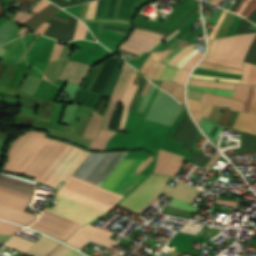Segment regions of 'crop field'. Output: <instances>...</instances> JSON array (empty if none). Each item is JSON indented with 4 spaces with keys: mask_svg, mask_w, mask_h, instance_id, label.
Returning <instances> with one entry per match:
<instances>
[{
    "mask_svg": "<svg viewBox=\"0 0 256 256\" xmlns=\"http://www.w3.org/2000/svg\"><path fill=\"white\" fill-rule=\"evenodd\" d=\"M45 135L31 131L19 136L8 148L3 168L32 174L38 181L56 188L62 178L72 175L89 151ZM126 153L91 152L73 176L100 185Z\"/></svg>",
    "mask_w": 256,
    "mask_h": 256,
    "instance_id": "crop-field-1",
    "label": "crop field"
},
{
    "mask_svg": "<svg viewBox=\"0 0 256 256\" xmlns=\"http://www.w3.org/2000/svg\"><path fill=\"white\" fill-rule=\"evenodd\" d=\"M34 182L0 174V217L29 225L36 216L23 212L34 192Z\"/></svg>",
    "mask_w": 256,
    "mask_h": 256,
    "instance_id": "crop-field-2",
    "label": "crop field"
},
{
    "mask_svg": "<svg viewBox=\"0 0 256 256\" xmlns=\"http://www.w3.org/2000/svg\"><path fill=\"white\" fill-rule=\"evenodd\" d=\"M59 195L88 205L103 212L112 209L123 196L84 181L70 177Z\"/></svg>",
    "mask_w": 256,
    "mask_h": 256,
    "instance_id": "crop-field-3",
    "label": "crop field"
},
{
    "mask_svg": "<svg viewBox=\"0 0 256 256\" xmlns=\"http://www.w3.org/2000/svg\"><path fill=\"white\" fill-rule=\"evenodd\" d=\"M122 62L123 61L117 57L107 60L91 91H83L85 90L96 67L92 68L81 86V89L83 90L80 89L79 94L77 93L78 95L73 102L93 109L101 94H109Z\"/></svg>",
    "mask_w": 256,
    "mask_h": 256,
    "instance_id": "crop-field-4",
    "label": "crop field"
},
{
    "mask_svg": "<svg viewBox=\"0 0 256 256\" xmlns=\"http://www.w3.org/2000/svg\"><path fill=\"white\" fill-rule=\"evenodd\" d=\"M255 35L256 33L221 38L212 56H205L203 60L242 68L243 60Z\"/></svg>",
    "mask_w": 256,
    "mask_h": 256,
    "instance_id": "crop-field-5",
    "label": "crop field"
},
{
    "mask_svg": "<svg viewBox=\"0 0 256 256\" xmlns=\"http://www.w3.org/2000/svg\"><path fill=\"white\" fill-rule=\"evenodd\" d=\"M166 180L167 177L165 176L150 175L138 188L134 189L119 203V205L140 214L159 197Z\"/></svg>",
    "mask_w": 256,
    "mask_h": 256,
    "instance_id": "crop-field-6",
    "label": "crop field"
},
{
    "mask_svg": "<svg viewBox=\"0 0 256 256\" xmlns=\"http://www.w3.org/2000/svg\"><path fill=\"white\" fill-rule=\"evenodd\" d=\"M141 158H123L101 187L123 195L144 175L133 174L145 161Z\"/></svg>",
    "mask_w": 256,
    "mask_h": 256,
    "instance_id": "crop-field-7",
    "label": "crop field"
},
{
    "mask_svg": "<svg viewBox=\"0 0 256 256\" xmlns=\"http://www.w3.org/2000/svg\"><path fill=\"white\" fill-rule=\"evenodd\" d=\"M81 226L83 225L56 215L47 210L40 216L38 220H36L31 225V227L37 230L48 233L64 241Z\"/></svg>",
    "mask_w": 256,
    "mask_h": 256,
    "instance_id": "crop-field-8",
    "label": "crop field"
},
{
    "mask_svg": "<svg viewBox=\"0 0 256 256\" xmlns=\"http://www.w3.org/2000/svg\"><path fill=\"white\" fill-rule=\"evenodd\" d=\"M54 202L57 204L52 209L47 210L74 220L83 225L104 214L59 195H57Z\"/></svg>",
    "mask_w": 256,
    "mask_h": 256,
    "instance_id": "crop-field-9",
    "label": "crop field"
},
{
    "mask_svg": "<svg viewBox=\"0 0 256 256\" xmlns=\"http://www.w3.org/2000/svg\"><path fill=\"white\" fill-rule=\"evenodd\" d=\"M233 129L256 134V114L239 112V117ZM241 132L240 148L233 149V154L256 152V135Z\"/></svg>",
    "mask_w": 256,
    "mask_h": 256,
    "instance_id": "crop-field-10",
    "label": "crop field"
},
{
    "mask_svg": "<svg viewBox=\"0 0 256 256\" xmlns=\"http://www.w3.org/2000/svg\"><path fill=\"white\" fill-rule=\"evenodd\" d=\"M113 232L106 231L100 228L86 225L73 234L66 242L80 248L86 240H94L109 246H112L116 241L110 239Z\"/></svg>",
    "mask_w": 256,
    "mask_h": 256,
    "instance_id": "crop-field-11",
    "label": "crop field"
},
{
    "mask_svg": "<svg viewBox=\"0 0 256 256\" xmlns=\"http://www.w3.org/2000/svg\"><path fill=\"white\" fill-rule=\"evenodd\" d=\"M122 68H124V70L117 83L114 94L112 96V99L110 101V104L108 106V109L106 111V114L104 116V119L100 128H104V129L109 128L132 72L137 73L132 67H130L125 62L122 65Z\"/></svg>",
    "mask_w": 256,
    "mask_h": 256,
    "instance_id": "crop-field-12",
    "label": "crop field"
},
{
    "mask_svg": "<svg viewBox=\"0 0 256 256\" xmlns=\"http://www.w3.org/2000/svg\"><path fill=\"white\" fill-rule=\"evenodd\" d=\"M115 2H116V0H111V3H110V0H104L99 18H106L109 3H110V8H109L107 18H112L114 7H115ZM135 2H136V0H132V4H131V0H117L113 18L116 17V18L127 19L129 9H130V4H131V9H130L128 19L132 20L133 16H134V12H135V10L132 8H133ZM101 4H102V0H99V5H98V9H97L95 18H98V16H99Z\"/></svg>",
    "mask_w": 256,
    "mask_h": 256,
    "instance_id": "crop-field-13",
    "label": "crop field"
},
{
    "mask_svg": "<svg viewBox=\"0 0 256 256\" xmlns=\"http://www.w3.org/2000/svg\"><path fill=\"white\" fill-rule=\"evenodd\" d=\"M182 158L183 156L160 149L153 173L173 177L183 164L180 162Z\"/></svg>",
    "mask_w": 256,
    "mask_h": 256,
    "instance_id": "crop-field-14",
    "label": "crop field"
},
{
    "mask_svg": "<svg viewBox=\"0 0 256 256\" xmlns=\"http://www.w3.org/2000/svg\"><path fill=\"white\" fill-rule=\"evenodd\" d=\"M51 23L45 32V36H49L61 41H70L73 38L77 19L70 17L68 24L49 19L46 21Z\"/></svg>",
    "mask_w": 256,
    "mask_h": 256,
    "instance_id": "crop-field-15",
    "label": "crop field"
},
{
    "mask_svg": "<svg viewBox=\"0 0 256 256\" xmlns=\"http://www.w3.org/2000/svg\"><path fill=\"white\" fill-rule=\"evenodd\" d=\"M161 40L162 39L158 37L134 31L133 34L128 38V40L123 44V46L131 47L141 52H144L150 51L151 48L155 44L159 43Z\"/></svg>",
    "mask_w": 256,
    "mask_h": 256,
    "instance_id": "crop-field-16",
    "label": "crop field"
},
{
    "mask_svg": "<svg viewBox=\"0 0 256 256\" xmlns=\"http://www.w3.org/2000/svg\"><path fill=\"white\" fill-rule=\"evenodd\" d=\"M91 66L69 61L59 79L82 84Z\"/></svg>",
    "mask_w": 256,
    "mask_h": 256,
    "instance_id": "crop-field-17",
    "label": "crop field"
},
{
    "mask_svg": "<svg viewBox=\"0 0 256 256\" xmlns=\"http://www.w3.org/2000/svg\"><path fill=\"white\" fill-rule=\"evenodd\" d=\"M182 183L178 182L175 188L165 185L162 194L190 204L198 190Z\"/></svg>",
    "mask_w": 256,
    "mask_h": 256,
    "instance_id": "crop-field-18",
    "label": "crop field"
},
{
    "mask_svg": "<svg viewBox=\"0 0 256 256\" xmlns=\"http://www.w3.org/2000/svg\"><path fill=\"white\" fill-rule=\"evenodd\" d=\"M59 8H57L54 5H49L47 8H45L43 11H41L39 14H37L35 17H33L29 22H27L24 26L30 28L32 31H36V29L47 19L52 18L63 22H68L69 19L67 18H60L56 15Z\"/></svg>",
    "mask_w": 256,
    "mask_h": 256,
    "instance_id": "crop-field-19",
    "label": "crop field"
},
{
    "mask_svg": "<svg viewBox=\"0 0 256 256\" xmlns=\"http://www.w3.org/2000/svg\"><path fill=\"white\" fill-rule=\"evenodd\" d=\"M58 245H59L58 243L41 235L40 238L35 242V244L27 252V254L32 256H46Z\"/></svg>",
    "mask_w": 256,
    "mask_h": 256,
    "instance_id": "crop-field-20",
    "label": "crop field"
},
{
    "mask_svg": "<svg viewBox=\"0 0 256 256\" xmlns=\"http://www.w3.org/2000/svg\"><path fill=\"white\" fill-rule=\"evenodd\" d=\"M160 87L170 92L171 95L177 98L182 104H185L183 97V86L177 83L163 81Z\"/></svg>",
    "mask_w": 256,
    "mask_h": 256,
    "instance_id": "crop-field-21",
    "label": "crop field"
},
{
    "mask_svg": "<svg viewBox=\"0 0 256 256\" xmlns=\"http://www.w3.org/2000/svg\"><path fill=\"white\" fill-rule=\"evenodd\" d=\"M115 133L110 131L101 130L97 140H93L89 149L91 150H104L107 141Z\"/></svg>",
    "mask_w": 256,
    "mask_h": 256,
    "instance_id": "crop-field-22",
    "label": "crop field"
},
{
    "mask_svg": "<svg viewBox=\"0 0 256 256\" xmlns=\"http://www.w3.org/2000/svg\"><path fill=\"white\" fill-rule=\"evenodd\" d=\"M101 119L102 117L98 115L96 112H94L83 136L95 139L100 127Z\"/></svg>",
    "mask_w": 256,
    "mask_h": 256,
    "instance_id": "crop-field-23",
    "label": "crop field"
},
{
    "mask_svg": "<svg viewBox=\"0 0 256 256\" xmlns=\"http://www.w3.org/2000/svg\"><path fill=\"white\" fill-rule=\"evenodd\" d=\"M32 244L33 242L15 236L9 240L6 245L26 253Z\"/></svg>",
    "mask_w": 256,
    "mask_h": 256,
    "instance_id": "crop-field-24",
    "label": "crop field"
},
{
    "mask_svg": "<svg viewBox=\"0 0 256 256\" xmlns=\"http://www.w3.org/2000/svg\"><path fill=\"white\" fill-rule=\"evenodd\" d=\"M138 85H132L131 89H130V92H129V95L126 99V102H125V105H124V109H123V114H122V120H121V125H120V128L119 130L122 131L125 124H126V120H127V116H128V109L130 107V104H131V101L138 89Z\"/></svg>",
    "mask_w": 256,
    "mask_h": 256,
    "instance_id": "crop-field-25",
    "label": "crop field"
},
{
    "mask_svg": "<svg viewBox=\"0 0 256 256\" xmlns=\"http://www.w3.org/2000/svg\"><path fill=\"white\" fill-rule=\"evenodd\" d=\"M171 50H166L163 52H152L151 55L149 56V58L147 59V61L145 62V64L143 65V67L141 68L140 72H142L144 75L148 69V67L150 66V64L152 63L153 60L155 61H159L161 62V60L166 57L171 51Z\"/></svg>",
    "mask_w": 256,
    "mask_h": 256,
    "instance_id": "crop-field-26",
    "label": "crop field"
},
{
    "mask_svg": "<svg viewBox=\"0 0 256 256\" xmlns=\"http://www.w3.org/2000/svg\"><path fill=\"white\" fill-rule=\"evenodd\" d=\"M21 229V227L0 221V234H7L13 236Z\"/></svg>",
    "mask_w": 256,
    "mask_h": 256,
    "instance_id": "crop-field-27",
    "label": "crop field"
},
{
    "mask_svg": "<svg viewBox=\"0 0 256 256\" xmlns=\"http://www.w3.org/2000/svg\"><path fill=\"white\" fill-rule=\"evenodd\" d=\"M212 106L211 105H203V108L201 111L198 110H191V113L195 119V121L199 124L200 120L202 119L203 116L208 117L210 111H211Z\"/></svg>",
    "mask_w": 256,
    "mask_h": 256,
    "instance_id": "crop-field-28",
    "label": "crop field"
},
{
    "mask_svg": "<svg viewBox=\"0 0 256 256\" xmlns=\"http://www.w3.org/2000/svg\"><path fill=\"white\" fill-rule=\"evenodd\" d=\"M164 67H165V64L156 62L155 65L152 67V69L149 72L147 77H149L153 80H158V78H159L160 74L162 73Z\"/></svg>",
    "mask_w": 256,
    "mask_h": 256,
    "instance_id": "crop-field-29",
    "label": "crop field"
},
{
    "mask_svg": "<svg viewBox=\"0 0 256 256\" xmlns=\"http://www.w3.org/2000/svg\"><path fill=\"white\" fill-rule=\"evenodd\" d=\"M190 88H195V89H199V90H204L207 91L209 93L212 94H217V95H223V96H229L232 97L234 94V91H230V90H219V89H209V88H199V87H191L188 86Z\"/></svg>",
    "mask_w": 256,
    "mask_h": 256,
    "instance_id": "crop-field-30",
    "label": "crop field"
},
{
    "mask_svg": "<svg viewBox=\"0 0 256 256\" xmlns=\"http://www.w3.org/2000/svg\"><path fill=\"white\" fill-rule=\"evenodd\" d=\"M79 21L77 22L76 31H75V35H74L73 40L80 39V38L84 39L85 36H86L87 27Z\"/></svg>",
    "mask_w": 256,
    "mask_h": 256,
    "instance_id": "crop-field-31",
    "label": "crop field"
},
{
    "mask_svg": "<svg viewBox=\"0 0 256 256\" xmlns=\"http://www.w3.org/2000/svg\"><path fill=\"white\" fill-rule=\"evenodd\" d=\"M198 67L206 68V69H212V70H218L220 72L224 73H233V74H241L242 71L239 70H233V69H227V68H220V67H214L206 64L200 63Z\"/></svg>",
    "mask_w": 256,
    "mask_h": 256,
    "instance_id": "crop-field-32",
    "label": "crop field"
},
{
    "mask_svg": "<svg viewBox=\"0 0 256 256\" xmlns=\"http://www.w3.org/2000/svg\"><path fill=\"white\" fill-rule=\"evenodd\" d=\"M196 44L189 45L185 47L183 50H181L177 55H175L171 61L168 63V65L174 66V64L180 60L186 53H188Z\"/></svg>",
    "mask_w": 256,
    "mask_h": 256,
    "instance_id": "crop-field-33",
    "label": "crop field"
},
{
    "mask_svg": "<svg viewBox=\"0 0 256 256\" xmlns=\"http://www.w3.org/2000/svg\"><path fill=\"white\" fill-rule=\"evenodd\" d=\"M72 249L64 246V245H60L59 247H57L51 254H49L48 256H64L66 255L69 251H71Z\"/></svg>",
    "mask_w": 256,
    "mask_h": 256,
    "instance_id": "crop-field-34",
    "label": "crop field"
},
{
    "mask_svg": "<svg viewBox=\"0 0 256 256\" xmlns=\"http://www.w3.org/2000/svg\"><path fill=\"white\" fill-rule=\"evenodd\" d=\"M191 78L211 79V80H216V81L233 82V83H239V81H240V80H237V79H225V78H218V77H206V76L195 75V74H192Z\"/></svg>",
    "mask_w": 256,
    "mask_h": 256,
    "instance_id": "crop-field-35",
    "label": "crop field"
},
{
    "mask_svg": "<svg viewBox=\"0 0 256 256\" xmlns=\"http://www.w3.org/2000/svg\"><path fill=\"white\" fill-rule=\"evenodd\" d=\"M170 204H173V205H175V206L181 207V208H183V209H186V210H189V211H192V212H195V213H196V211L198 210V208H196V207H194V206H192V205H188V204H186V203L180 202V201L175 200V199H173V200L170 202Z\"/></svg>",
    "mask_w": 256,
    "mask_h": 256,
    "instance_id": "crop-field-36",
    "label": "crop field"
},
{
    "mask_svg": "<svg viewBox=\"0 0 256 256\" xmlns=\"http://www.w3.org/2000/svg\"><path fill=\"white\" fill-rule=\"evenodd\" d=\"M202 56V53L197 52L183 67L182 69L190 71L198 59ZM200 60V59H199Z\"/></svg>",
    "mask_w": 256,
    "mask_h": 256,
    "instance_id": "crop-field-37",
    "label": "crop field"
},
{
    "mask_svg": "<svg viewBox=\"0 0 256 256\" xmlns=\"http://www.w3.org/2000/svg\"><path fill=\"white\" fill-rule=\"evenodd\" d=\"M31 17V15L21 12L18 10V13L13 18L14 21L19 22L23 24L26 20H28Z\"/></svg>",
    "mask_w": 256,
    "mask_h": 256,
    "instance_id": "crop-field-38",
    "label": "crop field"
},
{
    "mask_svg": "<svg viewBox=\"0 0 256 256\" xmlns=\"http://www.w3.org/2000/svg\"><path fill=\"white\" fill-rule=\"evenodd\" d=\"M251 23L247 22L246 20L242 19V22L236 32V34H244V33H248V32H254L251 30H248L249 26Z\"/></svg>",
    "mask_w": 256,
    "mask_h": 256,
    "instance_id": "crop-field-39",
    "label": "crop field"
},
{
    "mask_svg": "<svg viewBox=\"0 0 256 256\" xmlns=\"http://www.w3.org/2000/svg\"><path fill=\"white\" fill-rule=\"evenodd\" d=\"M232 112L233 111L228 110V108H225V110H224V112H223V114H222L218 124L226 126V124H227V122H228Z\"/></svg>",
    "mask_w": 256,
    "mask_h": 256,
    "instance_id": "crop-field-40",
    "label": "crop field"
},
{
    "mask_svg": "<svg viewBox=\"0 0 256 256\" xmlns=\"http://www.w3.org/2000/svg\"><path fill=\"white\" fill-rule=\"evenodd\" d=\"M22 40L21 38L16 39L13 44L8 48L4 56L1 58L3 61H7L8 57L10 56L11 52L14 50V48L19 44V42Z\"/></svg>",
    "mask_w": 256,
    "mask_h": 256,
    "instance_id": "crop-field-41",
    "label": "crop field"
},
{
    "mask_svg": "<svg viewBox=\"0 0 256 256\" xmlns=\"http://www.w3.org/2000/svg\"><path fill=\"white\" fill-rule=\"evenodd\" d=\"M68 63V61L66 60H62L60 65L58 66L57 70L55 71L54 75L51 78V82H55V80L58 78V76L60 75V73L62 72V70L64 69V67L66 66V64Z\"/></svg>",
    "mask_w": 256,
    "mask_h": 256,
    "instance_id": "crop-field-42",
    "label": "crop field"
},
{
    "mask_svg": "<svg viewBox=\"0 0 256 256\" xmlns=\"http://www.w3.org/2000/svg\"><path fill=\"white\" fill-rule=\"evenodd\" d=\"M49 4L51 3L47 2L46 0H41L37 5L34 6L33 9H31V12L37 14L41 10H43L45 7H47Z\"/></svg>",
    "mask_w": 256,
    "mask_h": 256,
    "instance_id": "crop-field-43",
    "label": "crop field"
},
{
    "mask_svg": "<svg viewBox=\"0 0 256 256\" xmlns=\"http://www.w3.org/2000/svg\"><path fill=\"white\" fill-rule=\"evenodd\" d=\"M223 110L224 109H222V108H215V107H213V109L211 111V114L209 116V119L217 122L219 117L221 116Z\"/></svg>",
    "mask_w": 256,
    "mask_h": 256,
    "instance_id": "crop-field-44",
    "label": "crop field"
},
{
    "mask_svg": "<svg viewBox=\"0 0 256 256\" xmlns=\"http://www.w3.org/2000/svg\"><path fill=\"white\" fill-rule=\"evenodd\" d=\"M253 93H254V87L249 86V94H248V97H247V100H246L245 106H244V112H246V113H249V107H250V102L253 97Z\"/></svg>",
    "mask_w": 256,
    "mask_h": 256,
    "instance_id": "crop-field-45",
    "label": "crop field"
},
{
    "mask_svg": "<svg viewBox=\"0 0 256 256\" xmlns=\"http://www.w3.org/2000/svg\"><path fill=\"white\" fill-rule=\"evenodd\" d=\"M57 43L56 41L49 61L57 59L60 54L63 46L57 45Z\"/></svg>",
    "mask_w": 256,
    "mask_h": 256,
    "instance_id": "crop-field-46",
    "label": "crop field"
},
{
    "mask_svg": "<svg viewBox=\"0 0 256 256\" xmlns=\"http://www.w3.org/2000/svg\"><path fill=\"white\" fill-rule=\"evenodd\" d=\"M103 21H110V22H122L130 24V21L127 20H119V19H89L88 22H103Z\"/></svg>",
    "mask_w": 256,
    "mask_h": 256,
    "instance_id": "crop-field-47",
    "label": "crop field"
},
{
    "mask_svg": "<svg viewBox=\"0 0 256 256\" xmlns=\"http://www.w3.org/2000/svg\"><path fill=\"white\" fill-rule=\"evenodd\" d=\"M187 74H188L187 71L182 70V72L176 82H178L181 85H184Z\"/></svg>",
    "mask_w": 256,
    "mask_h": 256,
    "instance_id": "crop-field-48",
    "label": "crop field"
},
{
    "mask_svg": "<svg viewBox=\"0 0 256 256\" xmlns=\"http://www.w3.org/2000/svg\"><path fill=\"white\" fill-rule=\"evenodd\" d=\"M255 48H256V38H255V40H254V42H253V44H252V46H251V48H250V50H249V52H248V54H247V56H246L244 61H247V62L250 61L251 56H252Z\"/></svg>",
    "mask_w": 256,
    "mask_h": 256,
    "instance_id": "crop-field-49",
    "label": "crop field"
},
{
    "mask_svg": "<svg viewBox=\"0 0 256 256\" xmlns=\"http://www.w3.org/2000/svg\"><path fill=\"white\" fill-rule=\"evenodd\" d=\"M152 159L153 157L149 156L148 159L144 162V164L135 173L139 174L141 171H143Z\"/></svg>",
    "mask_w": 256,
    "mask_h": 256,
    "instance_id": "crop-field-50",
    "label": "crop field"
},
{
    "mask_svg": "<svg viewBox=\"0 0 256 256\" xmlns=\"http://www.w3.org/2000/svg\"><path fill=\"white\" fill-rule=\"evenodd\" d=\"M217 40L209 41V52L207 53L208 56H211L215 46H216Z\"/></svg>",
    "mask_w": 256,
    "mask_h": 256,
    "instance_id": "crop-field-51",
    "label": "crop field"
},
{
    "mask_svg": "<svg viewBox=\"0 0 256 256\" xmlns=\"http://www.w3.org/2000/svg\"><path fill=\"white\" fill-rule=\"evenodd\" d=\"M135 75H136V74L133 73L132 76H131V78H130V80H129V82H128L127 88H126V90H125L124 96H123L122 101H121L122 104H123V101H124V99H125V96H126L128 90H129V88H130V85H131V83H132V81H133Z\"/></svg>",
    "mask_w": 256,
    "mask_h": 256,
    "instance_id": "crop-field-52",
    "label": "crop field"
},
{
    "mask_svg": "<svg viewBox=\"0 0 256 256\" xmlns=\"http://www.w3.org/2000/svg\"><path fill=\"white\" fill-rule=\"evenodd\" d=\"M49 26L48 23H43L38 30L36 31V33H40L43 35V33L45 32V30L47 29V27Z\"/></svg>",
    "mask_w": 256,
    "mask_h": 256,
    "instance_id": "crop-field-53",
    "label": "crop field"
},
{
    "mask_svg": "<svg viewBox=\"0 0 256 256\" xmlns=\"http://www.w3.org/2000/svg\"><path fill=\"white\" fill-rule=\"evenodd\" d=\"M216 203L228 204V205H233V206H236V205L238 204L237 202H233V201H223V200H217Z\"/></svg>",
    "mask_w": 256,
    "mask_h": 256,
    "instance_id": "crop-field-54",
    "label": "crop field"
},
{
    "mask_svg": "<svg viewBox=\"0 0 256 256\" xmlns=\"http://www.w3.org/2000/svg\"><path fill=\"white\" fill-rule=\"evenodd\" d=\"M247 19H249L255 23L256 22V10Z\"/></svg>",
    "mask_w": 256,
    "mask_h": 256,
    "instance_id": "crop-field-55",
    "label": "crop field"
},
{
    "mask_svg": "<svg viewBox=\"0 0 256 256\" xmlns=\"http://www.w3.org/2000/svg\"><path fill=\"white\" fill-rule=\"evenodd\" d=\"M211 15L209 13V11L207 12V14L204 16V21H205V26L206 24L209 22V20L211 19Z\"/></svg>",
    "mask_w": 256,
    "mask_h": 256,
    "instance_id": "crop-field-56",
    "label": "crop field"
},
{
    "mask_svg": "<svg viewBox=\"0 0 256 256\" xmlns=\"http://www.w3.org/2000/svg\"><path fill=\"white\" fill-rule=\"evenodd\" d=\"M241 0H235L234 4L232 5V7L230 8V11L234 12V10L236 9V7L238 6V4L240 3Z\"/></svg>",
    "mask_w": 256,
    "mask_h": 256,
    "instance_id": "crop-field-57",
    "label": "crop field"
},
{
    "mask_svg": "<svg viewBox=\"0 0 256 256\" xmlns=\"http://www.w3.org/2000/svg\"><path fill=\"white\" fill-rule=\"evenodd\" d=\"M10 237L8 236H0V240L7 241ZM0 241V244H5V242Z\"/></svg>",
    "mask_w": 256,
    "mask_h": 256,
    "instance_id": "crop-field-58",
    "label": "crop field"
},
{
    "mask_svg": "<svg viewBox=\"0 0 256 256\" xmlns=\"http://www.w3.org/2000/svg\"><path fill=\"white\" fill-rule=\"evenodd\" d=\"M202 62H203V63H206V64H210V65L221 66V67H227V66H223V65H219V64L209 63V62H204V61H202ZM227 68H231V67H227ZM233 69H238V68H233ZM239 70H242V69H239Z\"/></svg>",
    "mask_w": 256,
    "mask_h": 256,
    "instance_id": "crop-field-59",
    "label": "crop field"
},
{
    "mask_svg": "<svg viewBox=\"0 0 256 256\" xmlns=\"http://www.w3.org/2000/svg\"><path fill=\"white\" fill-rule=\"evenodd\" d=\"M181 70L178 69V71L176 72V74L173 76L172 80L176 81V79L178 78L179 74H180Z\"/></svg>",
    "mask_w": 256,
    "mask_h": 256,
    "instance_id": "crop-field-60",
    "label": "crop field"
},
{
    "mask_svg": "<svg viewBox=\"0 0 256 256\" xmlns=\"http://www.w3.org/2000/svg\"><path fill=\"white\" fill-rule=\"evenodd\" d=\"M250 62L256 64V50H255Z\"/></svg>",
    "mask_w": 256,
    "mask_h": 256,
    "instance_id": "crop-field-61",
    "label": "crop field"
},
{
    "mask_svg": "<svg viewBox=\"0 0 256 256\" xmlns=\"http://www.w3.org/2000/svg\"><path fill=\"white\" fill-rule=\"evenodd\" d=\"M179 31L177 30V31H175L173 34H171L170 36H168L166 39H164L163 41H167V40H169L170 38H172L174 35H176L177 33H178Z\"/></svg>",
    "mask_w": 256,
    "mask_h": 256,
    "instance_id": "crop-field-62",
    "label": "crop field"
},
{
    "mask_svg": "<svg viewBox=\"0 0 256 256\" xmlns=\"http://www.w3.org/2000/svg\"><path fill=\"white\" fill-rule=\"evenodd\" d=\"M150 84H151V83L147 82V84H146V86H145V88H144L142 94H145V92H146L147 89L149 88Z\"/></svg>",
    "mask_w": 256,
    "mask_h": 256,
    "instance_id": "crop-field-63",
    "label": "crop field"
},
{
    "mask_svg": "<svg viewBox=\"0 0 256 256\" xmlns=\"http://www.w3.org/2000/svg\"><path fill=\"white\" fill-rule=\"evenodd\" d=\"M69 253H70V252H69ZM67 256H80V255L72 251V252H71L70 254H68Z\"/></svg>",
    "mask_w": 256,
    "mask_h": 256,
    "instance_id": "crop-field-64",
    "label": "crop field"
},
{
    "mask_svg": "<svg viewBox=\"0 0 256 256\" xmlns=\"http://www.w3.org/2000/svg\"><path fill=\"white\" fill-rule=\"evenodd\" d=\"M5 51H6V50L0 48V58H1L2 55L5 53Z\"/></svg>",
    "mask_w": 256,
    "mask_h": 256,
    "instance_id": "crop-field-65",
    "label": "crop field"
},
{
    "mask_svg": "<svg viewBox=\"0 0 256 256\" xmlns=\"http://www.w3.org/2000/svg\"><path fill=\"white\" fill-rule=\"evenodd\" d=\"M210 1L217 4V5L221 2V0H210Z\"/></svg>",
    "mask_w": 256,
    "mask_h": 256,
    "instance_id": "crop-field-66",
    "label": "crop field"
},
{
    "mask_svg": "<svg viewBox=\"0 0 256 256\" xmlns=\"http://www.w3.org/2000/svg\"><path fill=\"white\" fill-rule=\"evenodd\" d=\"M195 52H196V50H195L192 54H194ZM192 54H191V55H192ZM191 55H190V56H191ZM190 56H189V57H190ZM189 57H188V58H189ZM188 58H187L185 61H187V60H188ZM185 61H184V62H185ZM184 62H182L178 68H180V67H181V65H182Z\"/></svg>",
    "mask_w": 256,
    "mask_h": 256,
    "instance_id": "crop-field-67",
    "label": "crop field"
},
{
    "mask_svg": "<svg viewBox=\"0 0 256 256\" xmlns=\"http://www.w3.org/2000/svg\"><path fill=\"white\" fill-rule=\"evenodd\" d=\"M119 251L115 250V252L112 254V256H117Z\"/></svg>",
    "mask_w": 256,
    "mask_h": 256,
    "instance_id": "crop-field-68",
    "label": "crop field"
},
{
    "mask_svg": "<svg viewBox=\"0 0 256 256\" xmlns=\"http://www.w3.org/2000/svg\"><path fill=\"white\" fill-rule=\"evenodd\" d=\"M16 1H17V0H16ZM24 1L33 3L35 0H24Z\"/></svg>",
    "mask_w": 256,
    "mask_h": 256,
    "instance_id": "crop-field-69",
    "label": "crop field"
},
{
    "mask_svg": "<svg viewBox=\"0 0 256 256\" xmlns=\"http://www.w3.org/2000/svg\"><path fill=\"white\" fill-rule=\"evenodd\" d=\"M254 113H256V104H255V110H254Z\"/></svg>",
    "mask_w": 256,
    "mask_h": 256,
    "instance_id": "crop-field-70",
    "label": "crop field"
},
{
    "mask_svg": "<svg viewBox=\"0 0 256 256\" xmlns=\"http://www.w3.org/2000/svg\"><path fill=\"white\" fill-rule=\"evenodd\" d=\"M82 0H79V2H81ZM86 2V1H85ZM81 3H83V2H81ZM79 4V3H78Z\"/></svg>",
    "mask_w": 256,
    "mask_h": 256,
    "instance_id": "crop-field-71",
    "label": "crop field"
},
{
    "mask_svg": "<svg viewBox=\"0 0 256 256\" xmlns=\"http://www.w3.org/2000/svg\"><path fill=\"white\" fill-rule=\"evenodd\" d=\"M196 74V73H195ZM201 75H204V74H201ZM225 78H228V77H225ZM237 78V77H236Z\"/></svg>",
    "mask_w": 256,
    "mask_h": 256,
    "instance_id": "crop-field-72",
    "label": "crop field"
},
{
    "mask_svg": "<svg viewBox=\"0 0 256 256\" xmlns=\"http://www.w3.org/2000/svg\"><path fill=\"white\" fill-rule=\"evenodd\" d=\"M65 1L69 2V0H65Z\"/></svg>",
    "mask_w": 256,
    "mask_h": 256,
    "instance_id": "crop-field-73",
    "label": "crop field"
}]
</instances>
